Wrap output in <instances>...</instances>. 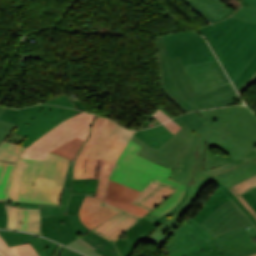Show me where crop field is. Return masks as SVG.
Masks as SVG:
<instances>
[{"label":"crop field","mask_w":256,"mask_h":256,"mask_svg":"<svg viewBox=\"0 0 256 256\" xmlns=\"http://www.w3.org/2000/svg\"><path fill=\"white\" fill-rule=\"evenodd\" d=\"M246 107L197 111L216 121L207 140L203 177L228 188L256 175V117Z\"/></svg>","instance_id":"8a807250"},{"label":"crop field","mask_w":256,"mask_h":256,"mask_svg":"<svg viewBox=\"0 0 256 256\" xmlns=\"http://www.w3.org/2000/svg\"><path fill=\"white\" fill-rule=\"evenodd\" d=\"M167 245L168 253L208 241L216 245L226 256H248L256 253L251 238L256 228L232 200L222 204L201 225L190 218L173 232Z\"/></svg>","instance_id":"ac0d7876"},{"label":"crop field","mask_w":256,"mask_h":256,"mask_svg":"<svg viewBox=\"0 0 256 256\" xmlns=\"http://www.w3.org/2000/svg\"><path fill=\"white\" fill-rule=\"evenodd\" d=\"M69 161L50 152L44 162L19 158L5 200L58 205Z\"/></svg>","instance_id":"34b2d1b8"},{"label":"crop field","mask_w":256,"mask_h":256,"mask_svg":"<svg viewBox=\"0 0 256 256\" xmlns=\"http://www.w3.org/2000/svg\"><path fill=\"white\" fill-rule=\"evenodd\" d=\"M213 25L198 31L205 36L233 82L256 53V23L229 17Z\"/></svg>","instance_id":"412701ff"},{"label":"crop field","mask_w":256,"mask_h":256,"mask_svg":"<svg viewBox=\"0 0 256 256\" xmlns=\"http://www.w3.org/2000/svg\"><path fill=\"white\" fill-rule=\"evenodd\" d=\"M142 147L130 141L118 159L110 179L142 191L153 179L176 187L172 194L151 213L162 216L174 208L181 200L186 185L168 179L172 169L146 160L135 154Z\"/></svg>","instance_id":"f4fd0767"},{"label":"crop field","mask_w":256,"mask_h":256,"mask_svg":"<svg viewBox=\"0 0 256 256\" xmlns=\"http://www.w3.org/2000/svg\"><path fill=\"white\" fill-rule=\"evenodd\" d=\"M183 67L197 95L176 104L185 112L232 105L239 98L218 61Z\"/></svg>","instance_id":"dd49c442"},{"label":"crop field","mask_w":256,"mask_h":256,"mask_svg":"<svg viewBox=\"0 0 256 256\" xmlns=\"http://www.w3.org/2000/svg\"><path fill=\"white\" fill-rule=\"evenodd\" d=\"M79 112L52 105H39L17 110L7 108L0 116V120L19 125L13 133L27 136L28 138L21 143L27 147L52 127Z\"/></svg>","instance_id":"e52e79f7"},{"label":"crop field","mask_w":256,"mask_h":256,"mask_svg":"<svg viewBox=\"0 0 256 256\" xmlns=\"http://www.w3.org/2000/svg\"><path fill=\"white\" fill-rule=\"evenodd\" d=\"M96 116L80 113L69 118L26 148L20 157L44 161L48 152L76 137L86 140L90 134L91 124Z\"/></svg>","instance_id":"d8731c3e"},{"label":"crop field","mask_w":256,"mask_h":256,"mask_svg":"<svg viewBox=\"0 0 256 256\" xmlns=\"http://www.w3.org/2000/svg\"><path fill=\"white\" fill-rule=\"evenodd\" d=\"M85 195L95 196V194L72 193L67 215L41 218V235L66 245L90 231L78 216V211Z\"/></svg>","instance_id":"5a996713"},{"label":"crop field","mask_w":256,"mask_h":256,"mask_svg":"<svg viewBox=\"0 0 256 256\" xmlns=\"http://www.w3.org/2000/svg\"><path fill=\"white\" fill-rule=\"evenodd\" d=\"M158 66L162 89L174 103L195 97V92L178 57L168 59L161 36L156 37Z\"/></svg>","instance_id":"3316defc"},{"label":"crop field","mask_w":256,"mask_h":256,"mask_svg":"<svg viewBox=\"0 0 256 256\" xmlns=\"http://www.w3.org/2000/svg\"><path fill=\"white\" fill-rule=\"evenodd\" d=\"M107 119L97 116L92 124L91 135L79 152L74 165L73 178H100L96 196L102 197L107 184V179L115 162L104 159L86 157L95 143Z\"/></svg>","instance_id":"28ad6ade"},{"label":"crop field","mask_w":256,"mask_h":256,"mask_svg":"<svg viewBox=\"0 0 256 256\" xmlns=\"http://www.w3.org/2000/svg\"><path fill=\"white\" fill-rule=\"evenodd\" d=\"M168 57L179 56L183 65L217 60L196 31H184L162 36Z\"/></svg>","instance_id":"d1516ede"},{"label":"crop field","mask_w":256,"mask_h":256,"mask_svg":"<svg viewBox=\"0 0 256 256\" xmlns=\"http://www.w3.org/2000/svg\"><path fill=\"white\" fill-rule=\"evenodd\" d=\"M214 122L206 120L199 133L195 134L188 152L173 170L174 174L169 178L188 186L202 178L206 140Z\"/></svg>","instance_id":"22f410ed"},{"label":"crop field","mask_w":256,"mask_h":256,"mask_svg":"<svg viewBox=\"0 0 256 256\" xmlns=\"http://www.w3.org/2000/svg\"><path fill=\"white\" fill-rule=\"evenodd\" d=\"M193 135L194 133L184 125L165 145H163L157 151L153 150L151 147L147 146L134 136L131 140L143 147L137 152V154L153 162L174 169L180 159L187 152L193 140Z\"/></svg>","instance_id":"cbeb9de0"},{"label":"crop field","mask_w":256,"mask_h":256,"mask_svg":"<svg viewBox=\"0 0 256 256\" xmlns=\"http://www.w3.org/2000/svg\"><path fill=\"white\" fill-rule=\"evenodd\" d=\"M132 132L108 119L88 156L116 161Z\"/></svg>","instance_id":"5142ce71"},{"label":"crop field","mask_w":256,"mask_h":256,"mask_svg":"<svg viewBox=\"0 0 256 256\" xmlns=\"http://www.w3.org/2000/svg\"><path fill=\"white\" fill-rule=\"evenodd\" d=\"M0 235L9 246L31 242L41 256H83L38 236L5 230H0Z\"/></svg>","instance_id":"d9b57169"},{"label":"crop field","mask_w":256,"mask_h":256,"mask_svg":"<svg viewBox=\"0 0 256 256\" xmlns=\"http://www.w3.org/2000/svg\"><path fill=\"white\" fill-rule=\"evenodd\" d=\"M212 181L214 180L202 178L190 186L188 197L180 209L171 215L169 219L165 220L160 226H158L146 241L156 243L158 244L157 248H160L165 242L167 236L181 225L176 221L193 204L201 189Z\"/></svg>","instance_id":"733c2abd"},{"label":"crop field","mask_w":256,"mask_h":256,"mask_svg":"<svg viewBox=\"0 0 256 256\" xmlns=\"http://www.w3.org/2000/svg\"><path fill=\"white\" fill-rule=\"evenodd\" d=\"M139 193L140 191L109 181L104 201L142 217L148 211L130 204Z\"/></svg>","instance_id":"4a817a6b"},{"label":"crop field","mask_w":256,"mask_h":256,"mask_svg":"<svg viewBox=\"0 0 256 256\" xmlns=\"http://www.w3.org/2000/svg\"><path fill=\"white\" fill-rule=\"evenodd\" d=\"M102 205L120 212L112 219L92 230L110 241L114 242L120 234L140 219V217L114 207L108 203L103 202Z\"/></svg>","instance_id":"bc2a9ffb"},{"label":"crop field","mask_w":256,"mask_h":256,"mask_svg":"<svg viewBox=\"0 0 256 256\" xmlns=\"http://www.w3.org/2000/svg\"><path fill=\"white\" fill-rule=\"evenodd\" d=\"M102 200L101 198L86 196L80 208V219L90 230L118 213L102 206Z\"/></svg>","instance_id":"214f88e0"},{"label":"crop field","mask_w":256,"mask_h":256,"mask_svg":"<svg viewBox=\"0 0 256 256\" xmlns=\"http://www.w3.org/2000/svg\"><path fill=\"white\" fill-rule=\"evenodd\" d=\"M8 229L29 231L40 235L39 209H21L6 205ZM22 221V223H20Z\"/></svg>","instance_id":"92a150f3"},{"label":"crop field","mask_w":256,"mask_h":256,"mask_svg":"<svg viewBox=\"0 0 256 256\" xmlns=\"http://www.w3.org/2000/svg\"><path fill=\"white\" fill-rule=\"evenodd\" d=\"M197 15L208 24L221 21L228 17L234 10L222 4L218 0H182ZM188 2V3H187Z\"/></svg>","instance_id":"dafd665d"},{"label":"crop field","mask_w":256,"mask_h":256,"mask_svg":"<svg viewBox=\"0 0 256 256\" xmlns=\"http://www.w3.org/2000/svg\"><path fill=\"white\" fill-rule=\"evenodd\" d=\"M156 227L157 225L142 219L128 229L125 232L128 237L124 240L119 238L115 242L121 256H129L139 240L145 241Z\"/></svg>","instance_id":"00972430"},{"label":"crop field","mask_w":256,"mask_h":256,"mask_svg":"<svg viewBox=\"0 0 256 256\" xmlns=\"http://www.w3.org/2000/svg\"><path fill=\"white\" fill-rule=\"evenodd\" d=\"M73 164L74 162L70 161V165L66 175L59 206L35 204V203L9 202V201H4V202L13 204L16 206H20L22 208H40L41 206L40 208L41 217H47L55 214H66L67 204L71 196V180H72V173H73ZM61 204H63V206H61Z\"/></svg>","instance_id":"a9b5d70f"},{"label":"crop field","mask_w":256,"mask_h":256,"mask_svg":"<svg viewBox=\"0 0 256 256\" xmlns=\"http://www.w3.org/2000/svg\"><path fill=\"white\" fill-rule=\"evenodd\" d=\"M173 190L174 187L153 180L132 204L151 211L164 201Z\"/></svg>","instance_id":"4177f3b9"},{"label":"crop field","mask_w":256,"mask_h":256,"mask_svg":"<svg viewBox=\"0 0 256 256\" xmlns=\"http://www.w3.org/2000/svg\"><path fill=\"white\" fill-rule=\"evenodd\" d=\"M173 135L174 134H172L166 127L161 125L142 131H136L134 136L157 150L163 144H165Z\"/></svg>","instance_id":"730fd06b"},{"label":"crop field","mask_w":256,"mask_h":256,"mask_svg":"<svg viewBox=\"0 0 256 256\" xmlns=\"http://www.w3.org/2000/svg\"><path fill=\"white\" fill-rule=\"evenodd\" d=\"M228 200H230L229 196L218 187L194 219L201 224L213 211Z\"/></svg>","instance_id":"eef30255"},{"label":"crop field","mask_w":256,"mask_h":256,"mask_svg":"<svg viewBox=\"0 0 256 256\" xmlns=\"http://www.w3.org/2000/svg\"><path fill=\"white\" fill-rule=\"evenodd\" d=\"M81 238L90 243L92 246L96 247L97 249L95 251L102 254L103 256H120L114 246V243L100 237L91 231Z\"/></svg>","instance_id":"ae1a2a85"},{"label":"crop field","mask_w":256,"mask_h":256,"mask_svg":"<svg viewBox=\"0 0 256 256\" xmlns=\"http://www.w3.org/2000/svg\"><path fill=\"white\" fill-rule=\"evenodd\" d=\"M225 256L216 246H214L210 241L203 244L197 245L192 248L184 249L174 253H170V256Z\"/></svg>","instance_id":"d3111659"},{"label":"crop field","mask_w":256,"mask_h":256,"mask_svg":"<svg viewBox=\"0 0 256 256\" xmlns=\"http://www.w3.org/2000/svg\"><path fill=\"white\" fill-rule=\"evenodd\" d=\"M1 256H40L30 243L9 247L0 237Z\"/></svg>","instance_id":"750c4746"},{"label":"crop field","mask_w":256,"mask_h":256,"mask_svg":"<svg viewBox=\"0 0 256 256\" xmlns=\"http://www.w3.org/2000/svg\"><path fill=\"white\" fill-rule=\"evenodd\" d=\"M24 149L20 145L4 141L0 145V159L16 162Z\"/></svg>","instance_id":"bd1437ed"},{"label":"crop field","mask_w":256,"mask_h":256,"mask_svg":"<svg viewBox=\"0 0 256 256\" xmlns=\"http://www.w3.org/2000/svg\"><path fill=\"white\" fill-rule=\"evenodd\" d=\"M84 143L85 142L76 138L51 152L66 157L68 159L75 160L79 150L81 149Z\"/></svg>","instance_id":"1d83c4d3"},{"label":"crop field","mask_w":256,"mask_h":256,"mask_svg":"<svg viewBox=\"0 0 256 256\" xmlns=\"http://www.w3.org/2000/svg\"><path fill=\"white\" fill-rule=\"evenodd\" d=\"M15 164L0 161V201L3 202Z\"/></svg>","instance_id":"120bbe31"},{"label":"crop field","mask_w":256,"mask_h":256,"mask_svg":"<svg viewBox=\"0 0 256 256\" xmlns=\"http://www.w3.org/2000/svg\"><path fill=\"white\" fill-rule=\"evenodd\" d=\"M256 187V176L230 188V190L238 197V199L246 206V208L252 213V215L256 218V213L253 209L244 201L240 194Z\"/></svg>","instance_id":"d32e631a"},{"label":"crop field","mask_w":256,"mask_h":256,"mask_svg":"<svg viewBox=\"0 0 256 256\" xmlns=\"http://www.w3.org/2000/svg\"><path fill=\"white\" fill-rule=\"evenodd\" d=\"M99 179H73L72 192L95 193Z\"/></svg>","instance_id":"5866460e"},{"label":"crop field","mask_w":256,"mask_h":256,"mask_svg":"<svg viewBox=\"0 0 256 256\" xmlns=\"http://www.w3.org/2000/svg\"><path fill=\"white\" fill-rule=\"evenodd\" d=\"M255 74H256V54L248 63V65L245 67V69L242 71V73L239 75V77L237 76L238 78L233 82L237 91H239L240 88Z\"/></svg>","instance_id":"028f5c9d"},{"label":"crop field","mask_w":256,"mask_h":256,"mask_svg":"<svg viewBox=\"0 0 256 256\" xmlns=\"http://www.w3.org/2000/svg\"><path fill=\"white\" fill-rule=\"evenodd\" d=\"M178 120H180L182 123L187 125L190 130L198 133L201 126L205 122V119L202 118L199 114L196 112H191L187 114H183L181 116L176 117Z\"/></svg>","instance_id":"e1f06a70"},{"label":"crop field","mask_w":256,"mask_h":256,"mask_svg":"<svg viewBox=\"0 0 256 256\" xmlns=\"http://www.w3.org/2000/svg\"><path fill=\"white\" fill-rule=\"evenodd\" d=\"M67 246H70L76 250L82 251L85 254L89 255V256H102L96 252H94L93 250L95 249L94 247H92L90 244H88L87 242H85L83 239L78 238L75 241H73L72 243L68 244ZM81 252V253H82Z\"/></svg>","instance_id":"0bd39190"},{"label":"crop field","mask_w":256,"mask_h":256,"mask_svg":"<svg viewBox=\"0 0 256 256\" xmlns=\"http://www.w3.org/2000/svg\"><path fill=\"white\" fill-rule=\"evenodd\" d=\"M232 17L243 19L250 22H256V8L242 7Z\"/></svg>","instance_id":"b80d0937"},{"label":"crop field","mask_w":256,"mask_h":256,"mask_svg":"<svg viewBox=\"0 0 256 256\" xmlns=\"http://www.w3.org/2000/svg\"><path fill=\"white\" fill-rule=\"evenodd\" d=\"M5 110V107L0 106V115ZM17 127V125L0 121V144L7 138V136Z\"/></svg>","instance_id":"c035e120"},{"label":"crop field","mask_w":256,"mask_h":256,"mask_svg":"<svg viewBox=\"0 0 256 256\" xmlns=\"http://www.w3.org/2000/svg\"><path fill=\"white\" fill-rule=\"evenodd\" d=\"M188 188H189V187H187L186 192H185V194H184V197L182 198V200L180 201V203H179L174 209H172L170 212H168L167 214H165L164 216H162V217H160V218H158V217H156V216H154V215H152V214L149 213V214L146 215L144 218H146V219H148V220H150V221H152V222H154V223L160 225L165 219L169 218V216H170L172 213H174L175 211L178 210V208L181 206V204L184 202V200H185V198H186V196H187Z\"/></svg>","instance_id":"c21b1889"},{"label":"crop field","mask_w":256,"mask_h":256,"mask_svg":"<svg viewBox=\"0 0 256 256\" xmlns=\"http://www.w3.org/2000/svg\"><path fill=\"white\" fill-rule=\"evenodd\" d=\"M218 186L221 187V189L223 191H225L230 198L251 218L252 222L255 224L256 226V220L254 219V217L250 214V212L244 207V205L236 198V196L227 188L225 187L221 182H219L218 180L214 181Z\"/></svg>","instance_id":"03da06ac"},{"label":"crop field","mask_w":256,"mask_h":256,"mask_svg":"<svg viewBox=\"0 0 256 256\" xmlns=\"http://www.w3.org/2000/svg\"><path fill=\"white\" fill-rule=\"evenodd\" d=\"M7 223V215L5 205L0 203V227L5 228Z\"/></svg>","instance_id":"b54c1fbb"},{"label":"crop field","mask_w":256,"mask_h":256,"mask_svg":"<svg viewBox=\"0 0 256 256\" xmlns=\"http://www.w3.org/2000/svg\"><path fill=\"white\" fill-rule=\"evenodd\" d=\"M243 198L246 200V202L256 211V200L250 193V191L242 194Z\"/></svg>","instance_id":"5d738f31"},{"label":"crop field","mask_w":256,"mask_h":256,"mask_svg":"<svg viewBox=\"0 0 256 256\" xmlns=\"http://www.w3.org/2000/svg\"><path fill=\"white\" fill-rule=\"evenodd\" d=\"M156 119H158L161 123H164L168 120H170V118L165 115L161 110H157L152 114Z\"/></svg>","instance_id":"d23c7cc5"},{"label":"crop field","mask_w":256,"mask_h":256,"mask_svg":"<svg viewBox=\"0 0 256 256\" xmlns=\"http://www.w3.org/2000/svg\"><path fill=\"white\" fill-rule=\"evenodd\" d=\"M26 137L11 133L6 141L20 144Z\"/></svg>","instance_id":"425ffa30"},{"label":"crop field","mask_w":256,"mask_h":256,"mask_svg":"<svg viewBox=\"0 0 256 256\" xmlns=\"http://www.w3.org/2000/svg\"><path fill=\"white\" fill-rule=\"evenodd\" d=\"M164 126H166L170 131H172L174 134L181 128L180 126H178L175 122H173L172 120L166 122L163 124ZM171 132V133H172ZM172 133V134H173Z\"/></svg>","instance_id":"25e5ab78"},{"label":"crop field","mask_w":256,"mask_h":256,"mask_svg":"<svg viewBox=\"0 0 256 256\" xmlns=\"http://www.w3.org/2000/svg\"><path fill=\"white\" fill-rule=\"evenodd\" d=\"M68 100L69 99L66 96H63V97H60V98H57V99H54V100H51V101H48L45 103L57 105V104H60L62 102L68 101Z\"/></svg>","instance_id":"73cf0c24"},{"label":"crop field","mask_w":256,"mask_h":256,"mask_svg":"<svg viewBox=\"0 0 256 256\" xmlns=\"http://www.w3.org/2000/svg\"><path fill=\"white\" fill-rule=\"evenodd\" d=\"M242 6L256 7V0H242Z\"/></svg>","instance_id":"89e229c0"},{"label":"crop field","mask_w":256,"mask_h":256,"mask_svg":"<svg viewBox=\"0 0 256 256\" xmlns=\"http://www.w3.org/2000/svg\"><path fill=\"white\" fill-rule=\"evenodd\" d=\"M254 81H256V76L239 92V94L246 89L250 84H252Z\"/></svg>","instance_id":"1f2cbd36"},{"label":"crop field","mask_w":256,"mask_h":256,"mask_svg":"<svg viewBox=\"0 0 256 256\" xmlns=\"http://www.w3.org/2000/svg\"><path fill=\"white\" fill-rule=\"evenodd\" d=\"M60 105L68 106V107H73V108H74V106L71 104V102H70V101L65 102V103H63V104H60Z\"/></svg>","instance_id":"dbb93151"},{"label":"crop field","mask_w":256,"mask_h":256,"mask_svg":"<svg viewBox=\"0 0 256 256\" xmlns=\"http://www.w3.org/2000/svg\"><path fill=\"white\" fill-rule=\"evenodd\" d=\"M161 109L165 114H167L171 119L173 118V116L171 114H169L164 108H159Z\"/></svg>","instance_id":"0fb4a251"},{"label":"crop field","mask_w":256,"mask_h":256,"mask_svg":"<svg viewBox=\"0 0 256 256\" xmlns=\"http://www.w3.org/2000/svg\"><path fill=\"white\" fill-rule=\"evenodd\" d=\"M173 121H175L178 125H180L181 127L183 126V124L180 122V121H178L176 118H174V119H172Z\"/></svg>","instance_id":"1d79db26"},{"label":"crop field","mask_w":256,"mask_h":256,"mask_svg":"<svg viewBox=\"0 0 256 256\" xmlns=\"http://www.w3.org/2000/svg\"><path fill=\"white\" fill-rule=\"evenodd\" d=\"M251 193L253 194V196L255 197V199H256V188L255 189H253V190H251Z\"/></svg>","instance_id":"9d1cf04e"},{"label":"crop field","mask_w":256,"mask_h":256,"mask_svg":"<svg viewBox=\"0 0 256 256\" xmlns=\"http://www.w3.org/2000/svg\"><path fill=\"white\" fill-rule=\"evenodd\" d=\"M251 256H256V254H254V255H251Z\"/></svg>","instance_id":"447ae74e"},{"label":"crop field","mask_w":256,"mask_h":256,"mask_svg":"<svg viewBox=\"0 0 256 256\" xmlns=\"http://www.w3.org/2000/svg\"><path fill=\"white\" fill-rule=\"evenodd\" d=\"M255 162H256V160H255Z\"/></svg>","instance_id":"0765c3eb"},{"label":"crop field","mask_w":256,"mask_h":256,"mask_svg":"<svg viewBox=\"0 0 256 256\" xmlns=\"http://www.w3.org/2000/svg\"><path fill=\"white\" fill-rule=\"evenodd\" d=\"M206 256H208V255H206Z\"/></svg>","instance_id":"db79e9e6"},{"label":"crop field","mask_w":256,"mask_h":256,"mask_svg":"<svg viewBox=\"0 0 256 256\" xmlns=\"http://www.w3.org/2000/svg\"><path fill=\"white\" fill-rule=\"evenodd\" d=\"M256 149V148H255Z\"/></svg>","instance_id":"7b73153f"}]
</instances>
